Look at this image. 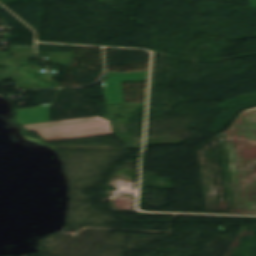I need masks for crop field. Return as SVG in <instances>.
<instances>
[{
	"mask_svg": "<svg viewBox=\"0 0 256 256\" xmlns=\"http://www.w3.org/2000/svg\"><path fill=\"white\" fill-rule=\"evenodd\" d=\"M44 142L113 134L109 121L100 117L23 125Z\"/></svg>",
	"mask_w": 256,
	"mask_h": 256,
	"instance_id": "obj_2",
	"label": "crop field"
},
{
	"mask_svg": "<svg viewBox=\"0 0 256 256\" xmlns=\"http://www.w3.org/2000/svg\"><path fill=\"white\" fill-rule=\"evenodd\" d=\"M225 137L236 213L256 214V108L242 111Z\"/></svg>",
	"mask_w": 256,
	"mask_h": 256,
	"instance_id": "obj_1",
	"label": "crop field"
},
{
	"mask_svg": "<svg viewBox=\"0 0 256 256\" xmlns=\"http://www.w3.org/2000/svg\"><path fill=\"white\" fill-rule=\"evenodd\" d=\"M49 106L18 110L16 120L19 125L49 121Z\"/></svg>",
	"mask_w": 256,
	"mask_h": 256,
	"instance_id": "obj_4",
	"label": "crop field"
},
{
	"mask_svg": "<svg viewBox=\"0 0 256 256\" xmlns=\"http://www.w3.org/2000/svg\"><path fill=\"white\" fill-rule=\"evenodd\" d=\"M148 72L141 73H107V80L103 82L107 104H123L124 98L120 83L140 82L147 80Z\"/></svg>",
	"mask_w": 256,
	"mask_h": 256,
	"instance_id": "obj_3",
	"label": "crop field"
}]
</instances>
